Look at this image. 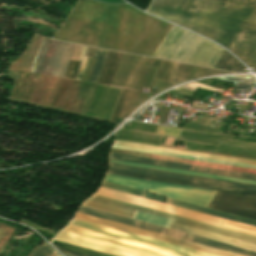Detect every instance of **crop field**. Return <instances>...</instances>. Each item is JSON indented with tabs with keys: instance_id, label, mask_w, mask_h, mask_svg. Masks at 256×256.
I'll return each instance as SVG.
<instances>
[{
	"instance_id": "obj_23",
	"label": "crop field",
	"mask_w": 256,
	"mask_h": 256,
	"mask_svg": "<svg viewBox=\"0 0 256 256\" xmlns=\"http://www.w3.org/2000/svg\"><path fill=\"white\" fill-rule=\"evenodd\" d=\"M216 68L228 69L239 71L243 70L244 67L240 64L232 55L224 50L216 64L214 65Z\"/></svg>"
},
{
	"instance_id": "obj_16",
	"label": "crop field",
	"mask_w": 256,
	"mask_h": 256,
	"mask_svg": "<svg viewBox=\"0 0 256 256\" xmlns=\"http://www.w3.org/2000/svg\"><path fill=\"white\" fill-rule=\"evenodd\" d=\"M135 123L132 122L123 128L133 130ZM157 127L156 125L137 122L134 131L120 130L116 138L158 144L162 136L155 134Z\"/></svg>"
},
{
	"instance_id": "obj_32",
	"label": "crop field",
	"mask_w": 256,
	"mask_h": 256,
	"mask_svg": "<svg viewBox=\"0 0 256 256\" xmlns=\"http://www.w3.org/2000/svg\"><path fill=\"white\" fill-rule=\"evenodd\" d=\"M116 140H118V141H125V142H131V143L152 145V146H158V147H165V148H172V149H179V150H185V151H192V152H199V153H206V154H212V155H219V156H226V157H232V158H239V159H246V160H253V161H256V160H254V159H248V158H242V157H236V156H229V155H221V154L209 153V152L193 151V150H188V149H183V148H177V147H170V146H164V145H154V144H147V143L126 141V140H119V139H116Z\"/></svg>"
},
{
	"instance_id": "obj_31",
	"label": "crop field",
	"mask_w": 256,
	"mask_h": 256,
	"mask_svg": "<svg viewBox=\"0 0 256 256\" xmlns=\"http://www.w3.org/2000/svg\"><path fill=\"white\" fill-rule=\"evenodd\" d=\"M53 250L54 249L45 242L41 246H37L29 256H51Z\"/></svg>"
},
{
	"instance_id": "obj_21",
	"label": "crop field",
	"mask_w": 256,
	"mask_h": 256,
	"mask_svg": "<svg viewBox=\"0 0 256 256\" xmlns=\"http://www.w3.org/2000/svg\"><path fill=\"white\" fill-rule=\"evenodd\" d=\"M122 54L108 52L98 83L110 85Z\"/></svg>"
},
{
	"instance_id": "obj_24",
	"label": "crop field",
	"mask_w": 256,
	"mask_h": 256,
	"mask_svg": "<svg viewBox=\"0 0 256 256\" xmlns=\"http://www.w3.org/2000/svg\"><path fill=\"white\" fill-rule=\"evenodd\" d=\"M110 162H113V163H119V164H126V165H133V166H139V167H146V168H153V169H159V170H166V171H172V172L186 173V174H192V175H199V176H205V177H212V178H219V179H225V180H232V181H239V182H245V183H252V184H256V182H254V181H247V180H240V179H234V178H227V177L213 176V175H207V174L193 173V172H187V171H180V170H173V169H167V168H160V167L146 166V165H140V164H133V163L120 162V161H113V160H110Z\"/></svg>"
},
{
	"instance_id": "obj_7",
	"label": "crop field",
	"mask_w": 256,
	"mask_h": 256,
	"mask_svg": "<svg viewBox=\"0 0 256 256\" xmlns=\"http://www.w3.org/2000/svg\"><path fill=\"white\" fill-rule=\"evenodd\" d=\"M78 213H82V214L102 218V219H105V220H109V221L129 225V226H132V227H136V228L156 232V233H159V234H163V235H167V236L187 240V241H190V242H194V243L214 247V248H217V249H221V250L241 254V255H244V256H256V252L251 251V250H247V249L227 245V244H224V243L204 239V238H201V237H197V236L177 232V231H174V230H170V229H166V228H162V227H158V226H154V225H150V224H146V223H142V222L136 224L135 220H131V219H127V218H124V217L112 215V214H109V213H105V212H101V211H98V210L86 208V207H83V206L80 207V209L78 210Z\"/></svg>"
},
{
	"instance_id": "obj_9",
	"label": "crop field",
	"mask_w": 256,
	"mask_h": 256,
	"mask_svg": "<svg viewBox=\"0 0 256 256\" xmlns=\"http://www.w3.org/2000/svg\"><path fill=\"white\" fill-rule=\"evenodd\" d=\"M73 45L44 38L33 73L63 78Z\"/></svg>"
},
{
	"instance_id": "obj_15",
	"label": "crop field",
	"mask_w": 256,
	"mask_h": 256,
	"mask_svg": "<svg viewBox=\"0 0 256 256\" xmlns=\"http://www.w3.org/2000/svg\"><path fill=\"white\" fill-rule=\"evenodd\" d=\"M181 138L184 145L190 148L202 149L215 152L216 146L223 141L231 138V136L213 135L207 133L193 132L183 130Z\"/></svg>"
},
{
	"instance_id": "obj_18",
	"label": "crop field",
	"mask_w": 256,
	"mask_h": 256,
	"mask_svg": "<svg viewBox=\"0 0 256 256\" xmlns=\"http://www.w3.org/2000/svg\"><path fill=\"white\" fill-rule=\"evenodd\" d=\"M110 168L133 171V172H140V173H147V174H154V175H161V176H168V177H175V178L188 179V180H195V181H202V182H209V183H216V184H223V185H229V186L243 187V188L256 190V186L250 185V184H242V183H235V182H229V181L189 176V175H182V174L168 173V172L148 170V169H142V168L128 167V166H122V165H115V164H111V163H110Z\"/></svg>"
},
{
	"instance_id": "obj_25",
	"label": "crop field",
	"mask_w": 256,
	"mask_h": 256,
	"mask_svg": "<svg viewBox=\"0 0 256 256\" xmlns=\"http://www.w3.org/2000/svg\"><path fill=\"white\" fill-rule=\"evenodd\" d=\"M82 46H79V45H75L74 46V50H73V54H72V58L71 59H74V60H77L78 57H79V54H80V49H81ZM80 63L79 61H73L71 60L70 63H69V66H68V69L66 71V74H65V77L64 78H69V79H75V76L77 74V71H78V68L80 66Z\"/></svg>"
},
{
	"instance_id": "obj_13",
	"label": "crop field",
	"mask_w": 256,
	"mask_h": 256,
	"mask_svg": "<svg viewBox=\"0 0 256 256\" xmlns=\"http://www.w3.org/2000/svg\"><path fill=\"white\" fill-rule=\"evenodd\" d=\"M110 159L123 160V161H129V162H136V163H143V164H149V165H156V166H163V167H170V168H176V169H183V170H190V171H197V172H203V173H210V174H217V175H223V176H230V177L256 180V175H252V174L225 171V170H219V169H212V168L199 167V166L186 165V164H179V163L153 160V159H147V158L133 157V156H127V155L114 154V153H111Z\"/></svg>"
},
{
	"instance_id": "obj_17",
	"label": "crop field",
	"mask_w": 256,
	"mask_h": 256,
	"mask_svg": "<svg viewBox=\"0 0 256 256\" xmlns=\"http://www.w3.org/2000/svg\"><path fill=\"white\" fill-rule=\"evenodd\" d=\"M139 92L121 90L120 96L118 98L114 113L112 115L111 121L116 123L118 118H125L127 117L134 106L136 101L137 95ZM148 94L140 92L135 103L133 111L138 108L142 103H144L149 98L147 97Z\"/></svg>"
},
{
	"instance_id": "obj_37",
	"label": "crop field",
	"mask_w": 256,
	"mask_h": 256,
	"mask_svg": "<svg viewBox=\"0 0 256 256\" xmlns=\"http://www.w3.org/2000/svg\"><path fill=\"white\" fill-rule=\"evenodd\" d=\"M65 256H76V255H72V254H68V253H66V254H64Z\"/></svg>"
},
{
	"instance_id": "obj_20",
	"label": "crop field",
	"mask_w": 256,
	"mask_h": 256,
	"mask_svg": "<svg viewBox=\"0 0 256 256\" xmlns=\"http://www.w3.org/2000/svg\"><path fill=\"white\" fill-rule=\"evenodd\" d=\"M166 204H170V205H174V206H178V207L198 211V212H201V213H205V214H209V215H213V216L233 220V221H236V222L256 226V220H252V219H248V218H244V217H240V216H236V215H232V214H228V213L208 209V208H205V207H201V206H197V205H193V204H189V203H185V202H181V201H177V200H173V199H169V198L167 199Z\"/></svg>"
},
{
	"instance_id": "obj_29",
	"label": "crop field",
	"mask_w": 256,
	"mask_h": 256,
	"mask_svg": "<svg viewBox=\"0 0 256 256\" xmlns=\"http://www.w3.org/2000/svg\"><path fill=\"white\" fill-rule=\"evenodd\" d=\"M102 187L114 189V190H117V191L129 193V194L140 196V197H144V192L143 191H139V190H135V189H131V188H127V187L107 183L105 181L103 182Z\"/></svg>"
},
{
	"instance_id": "obj_8",
	"label": "crop field",
	"mask_w": 256,
	"mask_h": 256,
	"mask_svg": "<svg viewBox=\"0 0 256 256\" xmlns=\"http://www.w3.org/2000/svg\"><path fill=\"white\" fill-rule=\"evenodd\" d=\"M96 194L121 199V200H124V201L144 205V206H147V207L163 210V211H166V212L186 216V217H189V218L205 221V222H208V223H212V224H216V225H220V226H224V227H228V228H231V229H235V230H239V231H243V232H247V233L256 235V227H252V226L232 222V221H229V220H225V219H221V218L201 214V213H198V212H194V211H190V210H186V209L166 205V204H163V203H159V202H155V201L135 197V196H132V195H128V194H124V193H121V192L113 191V190H110V189L100 187V189L96 192Z\"/></svg>"
},
{
	"instance_id": "obj_3",
	"label": "crop field",
	"mask_w": 256,
	"mask_h": 256,
	"mask_svg": "<svg viewBox=\"0 0 256 256\" xmlns=\"http://www.w3.org/2000/svg\"><path fill=\"white\" fill-rule=\"evenodd\" d=\"M95 196H96V194H94V196L92 198L87 200L83 204V206L87 202H89L91 199H93ZM97 197H101V198H105V199L125 203V204H128V205H132V206H136V207L156 211V212H159V213H163V214H167V215L187 219V220H190V221H194V222L214 226V227H217V228H221V229H225V230L245 234V235H248V236L256 237V236L249 235V234H246V233H242V232L230 230V229H227V228L207 224V223H204V222L184 218V217H181V216L161 212V211H158V210L142 207V206H139V205H135V204H131V203L123 202V201H119V200H116V199H112V198H108V197H104V196H100V195H97ZM97 197H95L88 204H86V206L91 207V208H95V209H99V210H103V211H107V212H111V213H115V214H119V215H123V216H127V217H131V218H135V219H138V217L141 215V213L145 212V213H149V214H153V215H157V216H162V217L178 220V221H181L180 224H179L178 221H174V220H170V219H166V218H161V217H157V216H153V215H149V214H145V213H142V215L138 219V220H141V221H145V222L165 226V227L172 228V229H176L178 224H179L177 230L256 250V238L248 237V236H245V235H241V234H237V233L217 229V228H214V227H210V226H206V225L186 221V220H183V219H179V218L159 214V213H156V212H152V211H148V210L128 206V205H125V204H121V203H117V202H113V201H109V200H105V199H101V198H97Z\"/></svg>"
},
{
	"instance_id": "obj_26",
	"label": "crop field",
	"mask_w": 256,
	"mask_h": 256,
	"mask_svg": "<svg viewBox=\"0 0 256 256\" xmlns=\"http://www.w3.org/2000/svg\"><path fill=\"white\" fill-rule=\"evenodd\" d=\"M106 50H102V49H96L95 54L93 57L97 58L96 63L94 65L93 71L91 73L90 79L88 82H92L95 83L98 77V74L100 72V69L102 67L103 61L105 59L106 56Z\"/></svg>"
},
{
	"instance_id": "obj_1",
	"label": "crop field",
	"mask_w": 256,
	"mask_h": 256,
	"mask_svg": "<svg viewBox=\"0 0 256 256\" xmlns=\"http://www.w3.org/2000/svg\"><path fill=\"white\" fill-rule=\"evenodd\" d=\"M147 12L223 45L256 69V0H153Z\"/></svg>"
},
{
	"instance_id": "obj_34",
	"label": "crop field",
	"mask_w": 256,
	"mask_h": 256,
	"mask_svg": "<svg viewBox=\"0 0 256 256\" xmlns=\"http://www.w3.org/2000/svg\"><path fill=\"white\" fill-rule=\"evenodd\" d=\"M180 131L181 130H179V129H173V128L159 126L156 133L179 137Z\"/></svg>"
},
{
	"instance_id": "obj_19",
	"label": "crop field",
	"mask_w": 256,
	"mask_h": 256,
	"mask_svg": "<svg viewBox=\"0 0 256 256\" xmlns=\"http://www.w3.org/2000/svg\"><path fill=\"white\" fill-rule=\"evenodd\" d=\"M233 138L256 142V139H253V138H244V137H238V136H233ZM217 153L256 159V145L226 141L224 143L219 144L217 148Z\"/></svg>"
},
{
	"instance_id": "obj_27",
	"label": "crop field",
	"mask_w": 256,
	"mask_h": 256,
	"mask_svg": "<svg viewBox=\"0 0 256 256\" xmlns=\"http://www.w3.org/2000/svg\"><path fill=\"white\" fill-rule=\"evenodd\" d=\"M218 78L235 82L236 90L248 88L254 82V79L250 76H229V77H218Z\"/></svg>"
},
{
	"instance_id": "obj_5",
	"label": "crop field",
	"mask_w": 256,
	"mask_h": 256,
	"mask_svg": "<svg viewBox=\"0 0 256 256\" xmlns=\"http://www.w3.org/2000/svg\"><path fill=\"white\" fill-rule=\"evenodd\" d=\"M224 49L175 25L154 57L213 67Z\"/></svg>"
},
{
	"instance_id": "obj_30",
	"label": "crop field",
	"mask_w": 256,
	"mask_h": 256,
	"mask_svg": "<svg viewBox=\"0 0 256 256\" xmlns=\"http://www.w3.org/2000/svg\"><path fill=\"white\" fill-rule=\"evenodd\" d=\"M51 244H53L55 246H59V247H63V248H67V249H71V250H75V251H79V252H82V253L94 255V256H110V255H107V254H103V253H99V252L83 249V248H80V247H76V246H72V245L56 242L54 240H53V242Z\"/></svg>"
},
{
	"instance_id": "obj_10",
	"label": "crop field",
	"mask_w": 256,
	"mask_h": 256,
	"mask_svg": "<svg viewBox=\"0 0 256 256\" xmlns=\"http://www.w3.org/2000/svg\"><path fill=\"white\" fill-rule=\"evenodd\" d=\"M120 90L97 85L85 116L109 122Z\"/></svg>"
},
{
	"instance_id": "obj_14",
	"label": "crop field",
	"mask_w": 256,
	"mask_h": 256,
	"mask_svg": "<svg viewBox=\"0 0 256 256\" xmlns=\"http://www.w3.org/2000/svg\"><path fill=\"white\" fill-rule=\"evenodd\" d=\"M108 173L129 176V177L150 179V180L168 182V183H174V184H180V185H187V186H193V187L207 188V189H213V190H225V191L233 192L243 196L256 198V191L243 189V188H236V187H229V186H223V185L181 180V179H175V178L133 173V172H127V171L113 170V169H110Z\"/></svg>"
},
{
	"instance_id": "obj_12",
	"label": "crop field",
	"mask_w": 256,
	"mask_h": 256,
	"mask_svg": "<svg viewBox=\"0 0 256 256\" xmlns=\"http://www.w3.org/2000/svg\"><path fill=\"white\" fill-rule=\"evenodd\" d=\"M209 208L256 219V200L218 192Z\"/></svg>"
},
{
	"instance_id": "obj_33",
	"label": "crop field",
	"mask_w": 256,
	"mask_h": 256,
	"mask_svg": "<svg viewBox=\"0 0 256 256\" xmlns=\"http://www.w3.org/2000/svg\"><path fill=\"white\" fill-rule=\"evenodd\" d=\"M182 128H186V129H190V130H197V131H205V132H214V133H219V134H223V131L220 130H216L210 127H204V126H199L197 124L194 123H187L184 127Z\"/></svg>"
},
{
	"instance_id": "obj_28",
	"label": "crop field",
	"mask_w": 256,
	"mask_h": 256,
	"mask_svg": "<svg viewBox=\"0 0 256 256\" xmlns=\"http://www.w3.org/2000/svg\"><path fill=\"white\" fill-rule=\"evenodd\" d=\"M96 48H92V47H88L87 48V52H86V55L85 56H90L92 57L93 54H94V51H95ZM96 59L94 58H87V61H86V67L84 69V72H83V75H82V79H84L85 82L88 81V78L90 76V73H91V70L93 68V65H94V62H95Z\"/></svg>"
},
{
	"instance_id": "obj_36",
	"label": "crop field",
	"mask_w": 256,
	"mask_h": 256,
	"mask_svg": "<svg viewBox=\"0 0 256 256\" xmlns=\"http://www.w3.org/2000/svg\"><path fill=\"white\" fill-rule=\"evenodd\" d=\"M52 256H61V255H59V254L54 250Z\"/></svg>"
},
{
	"instance_id": "obj_11",
	"label": "crop field",
	"mask_w": 256,
	"mask_h": 256,
	"mask_svg": "<svg viewBox=\"0 0 256 256\" xmlns=\"http://www.w3.org/2000/svg\"><path fill=\"white\" fill-rule=\"evenodd\" d=\"M78 219L83 220V221H87V222H91V223H95V224H99V225H103V226H107V227H111V228H115V229H119V230L130 232V233H134V234H138V235H142V236H146V237L166 241V242H169V243H173V244H177V245H181V246H185V247H189V248H193V249L213 253V254L220 255V256H240V255H236V254H233V253H229V252H225V251L205 247V246H202V245H198V244H194V243L174 239V238H171V237H167V236H163V235L143 231V230H140V229H136V228H132V227L112 223V222H109V221H105V220H101V219H97V218H93V217H89V216H85V215H81V214L79 215Z\"/></svg>"
},
{
	"instance_id": "obj_4",
	"label": "crop field",
	"mask_w": 256,
	"mask_h": 256,
	"mask_svg": "<svg viewBox=\"0 0 256 256\" xmlns=\"http://www.w3.org/2000/svg\"><path fill=\"white\" fill-rule=\"evenodd\" d=\"M144 58L145 57L143 56L123 53L111 86L124 88L128 90L141 91L143 87H150L153 78L163 80L170 62L163 60L160 69H157L142 66ZM178 64L179 63L175 62L170 63L164 81L156 79L153 80L151 86L158 87L159 90L154 89V91L151 92L152 96L158 93L159 91L170 87L173 82L174 85L175 83H181L188 79L193 66L180 63L178 67ZM196 68L197 67L195 66L193 67L188 80H192L194 78ZM225 72L226 71L223 70L198 67L195 78Z\"/></svg>"
},
{
	"instance_id": "obj_22",
	"label": "crop field",
	"mask_w": 256,
	"mask_h": 256,
	"mask_svg": "<svg viewBox=\"0 0 256 256\" xmlns=\"http://www.w3.org/2000/svg\"><path fill=\"white\" fill-rule=\"evenodd\" d=\"M115 144H117V145H124V146H131V147H137V148H144V149H151V150H158V151L179 153V154H185V155H192V156H199V157H206V158H213V159H220V160H226V161H233V162H240V163H247V164H254V165H256V162L246 161V160H239V159L218 157V156H212V155L191 153V152H185V151L171 150V149H165V148H158V147H151V146H145V145H138V144L125 143V142H118V141H115Z\"/></svg>"
},
{
	"instance_id": "obj_2",
	"label": "crop field",
	"mask_w": 256,
	"mask_h": 256,
	"mask_svg": "<svg viewBox=\"0 0 256 256\" xmlns=\"http://www.w3.org/2000/svg\"><path fill=\"white\" fill-rule=\"evenodd\" d=\"M55 240L117 256H214L75 219Z\"/></svg>"
},
{
	"instance_id": "obj_6",
	"label": "crop field",
	"mask_w": 256,
	"mask_h": 256,
	"mask_svg": "<svg viewBox=\"0 0 256 256\" xmlns=\"http://www.w3.org/2000/svg\"><path fill=\"white\" fill-rule=\"evenodd\" d=\"M106 181L143 191L145 190V188H147L149 189L150 192H154L157 194H161L164 196H168L171 198L179 199L182 201L194 203L205 207H207V205L210 203L214 195L217 193V191L212 190L160 183L154 181L148 182L142 179L112 175H109Z\"/></svg>"
},
{
	"instance_id": "obj_35",
	"label": "crop field",
	"mask_w": 256,
	"mask_h": 256,
	"mask_svg": "<svg viewBox=\"0 0 256 256\" xmlns=\"http://www.w3.org/2000/svg\"><path fill=\"white\" fill-rule=\"evenodd\" d=\"M56 248H57L58 250H60V251H64V252H68V253H72V254H76V255H80V256H90V255H86V254L74 252V251L67 250V249H63V248H59V247H56Z\"/></svg>"
}]
</instances>
